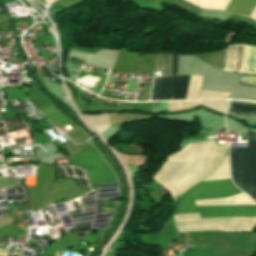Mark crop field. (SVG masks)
<instances>
[{
  "label": "crop field",
  "instance_id": "crop-field-1",
  "mask_svg": "<svg viewBox=\"0 0 256 256\" xmlns=\"http://www.w3.org/2000/svg\"><path fill=\"white\" fill-rule=\"evenodd\" d=\"M225 149L226 146H217L214 140L188 143L166 158L153 180L161 184L175 200L215 168L223 158Z\"/></svg>",
  "mask_w": 256,
  "mask_h": 256
},
{
  "label": "crop field",
  "instance_id": "crop-field-2",
  "mask_svg": "<svg viewBox=\"0 0 256 256\" xmlns=\"http://www.w3.org/2000/svg\"><path fill=\"white\" fill-rule=\"evenodd\" d=\"M237 193L241 192L230 179L199 182L177 199L174 214L200 213L202 218L256 217V206H196L193 201Z\"/></svg>",
  "mask_w": 256,
  "mask_h": 256
},
{
  "label": "crop field",
  "instance_id": "crop-field-3",
  "mask_svg": "<svg viewBox=\"0 0 256 256\" xmlns=\"http://www.w3.org/2000/svg\"><path fill=\"white\" fill-rule=\"evenodd\" d=\"M248 148H230L231 177L256 201V132L247 130Z\"/></svg>",
  "mask_w": 256,
  "mask_h": 256
},
{
  "label": "crop field",
  "instance_id": "crop-field-4",
  "mask_svg": "<svg viewBox=\"0 0 256 256\" xmlns=\"http://www.w3.org/2000/svg\"><path fill=\"white\" fill-rule=\"evenodd\" d=\"M69 163L85 168L91 185L116 183L110 170L92 147L68 159Z\"/></svg>",
  "mask_w": 256,
  "mask_h": 256
},
{
  "label": "crop field",
  "instance_id": "crop-field-5",
  "mask_svg": "<svg viewBox=\"0 0 256 256\" xmlns=\"http://www.w3.org/2000/svg\"><path fill=\"white\" fill-rule=\"evenodd\" d=\"M189 77L187 75L161 77L157 100L185 99Z\"/></svg>",
  "mask_w": 256,
  "mask_h": 256
},
{
  "label": "crop field",
  "instance_id": "crop-field-6",
  "mask_svg": "<svg viewBox=\"0 0 256 256\" xmlns=\"http://www.w3.org/2000/svg\"><path fill=\"white\" fill-rule=\"evenodd\" d=\"M196 105H204L219 112L225 113L227 101H181L168 102V111L190 108Z\"/></svg>",
  "mask_w": 256,
  "mask_h": 256
},
{
  "label": "crop field",
  "instance_id": "crop-field-7",
  "mask_svg": "<svg viewBox=\"0 0 256 256\" xmlns=\"http://www.w3.org/2000/svg\"><path fill=\"white\" fill-rule=\"evenodd\" d=\"M255 4L256 0H231L226 11L238 15L248 16Z\"/></svg>",
  "mask_w": 256,
  "mask_h": 256
},
{
  "label": "crop field",
  "instance_id": "crop-field-8",
  "mask_svg": "<svg viewBox=\"0 0 256 256\" xmlns=\"http://www.w3.org/2000/svg\"><path fill=\"white\" fill-rule=\"evenodd\" d=\"M228 114L235 115V116H241V117L255 116L256 115V105L231 102Z\"/></svg>",
  "mask_w": 256,
  "mask_h": 256
},
{
  "label": "crop field",
  "instance_id": "crop-field-9",
  "mask_svg": "<svg viewBox=\"0 0 256 256\" xmlns=\"http://www.w3.org/2000/svg\"><path fill=\"white\" fill-rule=\"evenodd\" d=\"M84 117L99 133L110 127L107 113L98 115H84Z\"/></svg>",
  "mask_w": 256,
  "mask_h": 256
},
{
  "label": "crop field",
  "instance_id": "crop-field-10",
  "mask_svg": "<svg viewBox=\"0 0 256 256\" xmlns=\"http://www.w3.org/2000/svg\"><path fill=\"white\" fill-rule=\"evenodd\" d=\"M202 76H191L186 99L197 98Z\"/></svg>",
  "mask_w": 256,
  "mask_h": 256
},
{
  "label": "crop field",
  "instance_id": "crop-field-11",
  "mask_svg": "<svg viewBox=\"0 0 256 256\" xmlns=\"http://www.w3.org/2000/svg\"><path fill=\"white\" fill-rule=\"evenodd\" d=\"M229 94L225 92L201 91L199 98L226 97Z\"/></svg>",
  "mask_w": 256,
  "mask_h": 256
},
{
  "label": "crop field",
  "instance_id": "crop-field-12",
  "mask_svg": "<svg viewBox=\"0 0 256 256\" xmlns=\"http://www.w3.org/2000/svg\"><path fill=\"white\" fill-rule=\"evenodd\" d=\"M170 57H171L170 75L177 74L178 55L177 54H170Z\"/></svg>",
  "mask_w": 256,
  "mask_h": 256
},
{
  "label": "crop field",
  "instance_id": "crop-field-13",
  "mask_svg": "<svg viewBox=\"0 0 256 256\" xmlns=\"http://www.w3.org/2000/svg\"><path fill=\"white\" fill-rule=\"evenodd\" d=\"M160 77L155 78L152 90L151 100H156Z\"/></svg>",
  "mask_w": 256,
  "mask_h": 256
}]
</instances>
